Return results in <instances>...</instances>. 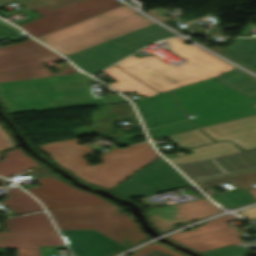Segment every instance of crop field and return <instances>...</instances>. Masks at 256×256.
Here are the masks:
<instances>
[{"label": "crop field", "mask_w": 256, "mask_h": 256, "mask_svg": "<svg viewBox=\"0 0 256 256\" xmlns=\"http://www.w3.org/2000/svg\"><path fill=\"white\" fill-rule=\"evenodd\" d=\"M214 78L256 99V78L239 70L238 68Z\"/></svg>", "instance_id": "obj_22"}, {"label": "crop field", "mask_w": 256, "mask_h": 256, "mask_svg": "<svg viewBox=\"0 0 256 256\" xmlns=\"http://www.w3.org/2000/svg\"><path fill=\"white\" fill-rule=\"evenodd\" d=\"M238 213L247 217V218L256 217V206H254L252 208H249V209H246V210H243V211H240Z\"/></svg>", "instance_id": "obj_35"}, {"label": "crop field", "mask_w": 256, "mask_h": 256, "mask_svg": "<svg viewBox=\"0 0 256 256\" xmlns=\"http://www.w3.org/2000/svg\"><path fill=\"white\" fill-rule=\"evenodd\" d=\"M245 253L246 251L243 246L236 247L234 245L201 252L205 256H239L245 255Z\"/></svg>", "instance_id": "obj_31"}, {"label": "crop field", "mask_w": 256, "mask_h": 256, "mask_svg": "<svg viewBox=\"0 0 256 256\" xmlns=\"http://www.w3.org/2000/svg\"><path fill=\"white\" fill-rule=\"evenodd\" d=\"M215 24L217 25V27L214 28L212 31H208L206 35H222L220 29V22H216Z\"/></svg>", "instance_id": "obj_38"}, {"label": "crop field", "mask_w": 256, "mask_h": 256, "mask_svg": "<svg viewBox=\"0 0 256 256\" xmlns=\"http://www.w3.org/2000/svg\"><path fill=\"white\" fill-rule=\"evenodd\" d=\"M256 107V104L254 105ZM215 141L227 139L234 142L256 137V115L201 127Z\"/></svg>", "instance_id": "obj_17"}, {"label": "crop field", "mask_w": 256, "mask_h": 256, "mask_svg": "<svg viewBox=\"0 0 256 256\" xmlns=\"http://www.w3.org/2000/svg\"><path fill=\"white\" fill-rule=\"evenodd\" d=\"M13 147H17V145L14 143L11 136L4 129V127L0 124V158H1V151L7 150Z\"/></svg>", "instance_id": "obj_33"}, {"label": "crop field", "mask_w": 256, "mask_h": 256, "mask_svg": "<svg viewBox=\"0 0 256 256\" xmlns=\"http://www.w3.org/2000/svg\"><path fill=\"white\" fill-rule=\"evenodd\" d=\"M7 183H8V181H6V180H3L0 182V184H2V185H6Z\"/></svg>", "instance_id": "obj_41"}, {"label": "crop field", "mask_w": 256, "mask_h": 256, "mask_svg": "<svg viewBox=\"0 0 256 256\" xmlns=\"http://www.w3.org/2000/svg\"><path fill=\"white\" fill-rule=\"evenodd\" d=\"M188 27L192 30L194 34L203 35V33L198 28H196L192 23L188 24Z\"/></svg>", "instance_id": "obj_39"}, {"label": "crop field", "mask_w": 256, "mask_h": 256, "mask_svg": "<svg viewBox=\"0 0 256 256\" xmlns=\"http://www.w3.org/2000/svg\"><path fill=\"white\" fill-rule=\"evenodd\" d=\"M132 256H182L163 246L153 243L141 250L133 252Z\"/></svg>", "instance_id": "obj_30"}, {"label": "crop field", "mask_w": 256, "mask_h": 256, "mask_svg": "<svg viewBox=\"0 0 256 256\" xmlns=\"http://www.w3.org/2000/svg\"><path fill=\"white\" fill-rule=\"evenodd\" d=\"M135 103L152 139L197 128L187 119L171 91Z\"/></svg>", "instance_id": "obj_7"}, {"label": "crop field", "mask_w": 256, "mask_h": 256, "mask_svg": "<svg viewBox=\"0 0 256 256\" xmlns=\"http://www.w3.org/2000/svg\"><path fill=\"white\" fill-rule=\"evenodd\" d=\"M210 197H212L214 200H216L218 203L226 208H233L255 202L253 197L248 193L246 189L211 195Z\"/></svg>", "instance_id": "obj_28"}, {"label": "crop field", "mask_w": 256, "mask_h": 256, "mask_svg": "<svg viewBox=\"0 0 256 256\" xmlns=\"http://www.w3.org/2000/svg\"><path fill=\"white\" fill-rule=\"evenodd\" d=\"M81 6L84 10L89 11L87 14H79L74 17V15L68 12V8L72 6ZM121 5L115 0H84L77 2L54 11H49L45 5L34 9L38 13L44 15L45 17L38 20L21 25L26 31H28L33 36L37 37L51 31L69 26L78 21L86 19L90 16L98 14L100 12L106 11L113 7Z\"/></svg>", "instance_id": "obj_11"}, {"label": "crop field", "mask_w": 256, "mask_h": 256, "mask_svg": "<svg viewBox=\"0 0 256 256\" xmlns=\"http://www.w3.org/2000/svg\"><path fill=\"white\" fill-rule=\"evenodd\" d=\"M62 60L57 54L26 39L18 44L0 47V82L77 72L68 63L60 73L53 74L41 63Z\"/></svg>", "instance_id": "obj_6"}, {"label": "crop field", "mask_w": 256, "mask_h": 256, "mask_svg": "<svg viewBox=\"0 0 256 256\" xmlns=\"http://www.w3.org/2000/svg\"><path fill=\"white\" fill-rule=\"evenodd\" d=\"M252 220H254L256 222V218H253Z\"/></svg>", "instance_id": "obj_42"}, {"label": "crop field", "mask_w": 256, "mask_h": 256, "mask_svg": "<svg viewBox=\"0 0 256 256\" xmlns=\"http://www.w3.org/2000/svg\"><path fill=\"white\" fill-rule=\"evenodd\" d=\"M150 23L153 22L121 5L37 38L68 55Z\"/></svg>", "instance_id": "obj_4"}, {"label": "crop field", "mask_w": 256, "mask_h": 256, "mask_svg": "<svg viewBox=\"0 0 256 256\" xmlns=\"http://www.w3.org/2000/svg\"><path fill=\"white\" fill-rule=\"evenodd\" d=\"M189 151L192 154L171 159V161L174 162L175 164H178L208 157L239 152L240 150L233 143L224 141L220 143L190 149Z\"/></svg>", "instance_id": "obj_23"}, {"label": "crop field", "mask_w": 256, "mask_h": 256, "mask_svg": "<svg viewBox=\"0 0 256 256\" xmlns=\"http://www.w3.org/2000/svg\"><path fill=\"white\" fill-rule=\"evenodd\" d=\"M36 163L17 148L5 153L4 160L0 161V174L8 177L22 169L37 166Z\"/></svg>", "instance_id": "obj_24"}, {"label": "crop field", "mask_w": 256, "mask_h": 256, "mask_svg": "<svg viewBox=\"0 0 256 256\" xmlns=\"http://www.w3.org/2000/svg\"><path fill=\"white\" fill-rule=\"evenodd\" d=\"M165 41L170 44V51L188 62L175 66L154 55L140 59L132 55L115 65L160 93L235 68L194 45L182 44L185 40L181 38Z\"/></svg>", "instance_id": "obj_2"}, {"label": "crop field", "mask_w": 256, "mask_h": 256, "mask_svg": "<svg viewBox=\"0 0 256 256\" xmlns=\"http://www.w3.org/2000/svg\"><path fill=\"white\" fill-rule=\"evenodd\" d=\"M233 220L238 219L230 215L222 216L199 228L188 232L176 233L168 238L197 252L243 242L237 235L246 234L247 232L239 233L235 228L249 225L250 223L230 227L226 222Z\"/></svg>", "instance_id": "obj_10"}, {"label": "crop field", "mask_w": 256, "mask_h": 256, "mask_svg": "<svg viewBox=\"0 0 256 256\" xmlns=\"http://www.w3.org/2000/svg\"><path fill=\"white\" fill-rule=\"evenodd\" d=\"M192 180L256 167V150L177 165Z\"/></svg>", "instance_id": "obj_13"}, {"label": "crop field", "mask_w": 256, "mask_h": 256, "mask_svg": "<svg viewBox=\"0 0 256 256\" xmlns=\"http://www.w3.org/2000/svg\"><path fill=\"white\" fill-rule=\"evenodd\" d=\"M1 180H3V179L0 178V181H1Z\"/></svg>", "instance_id": "obj_43"}, {"label": "crop field", "mask_w": 256, "mask_h": 256, "mask_svg": "<svg viewBox=\"0 0 256 256\" xmlns=\"http://www.w3.org/2000/svg\"><path fill=\"white\" fill-rule=\"evenodd\" d=\"M166 137H169L181 148L199 146L209 142H213V140H211L207 135H205L199 129L176 134V135L166 136ZM166 137H162V138H166ZM162 138H157L156 140L162 139Z\"/></svg>", "instance_id": "obj_26"}, {"label": "crop field", "mask_w": 256, "mask_h": 256, "mask_svg": "<svg viewBox=\"0 0 256 256\" xmlns=\"http://www.w3.org/2000/svg\"><path fill=\"white\" fill-rule=\"evenodd\" d=\"M174 36L153 23L87 49L68 55L81 69L93 74L118 61L133 51L159 39ZM157 37L156 39H153Z\"/></svg>", "instance_id": "obj_5"}, {"label": "crop field", "mask_w": 256, "mask_h": 256, "mask_svg": "<svg viewBox=\"0 0 256 256\" xmlns=\"http://www.w3.org/2000/svg\"><path fill=\"white\" fill-rule=\"evenodd\" d=\"M118 212L117 205H98L49 211L52 218Z\"/></svg>", "instance_id": "obj_25"}, {"label": "crop field", "mask_w": 256, "mask_h": 256, "mask_svg": "<svg viewBox=\"0 0 256 256\" xmlns=\"http://www.w3.org/2000/svg\"><path fill=\"white\" fill-rule=\"evenodd\" d=\"M61 232L75 256H106L120 248H128L95 230H61Z\"/></svg>", "instance_id": "obj_15"}, {"label": "crop field", "mask_w": 256, "mask_h": 256, "mask_svg": "<svg viewBox=\"0 0 256 256\" xmlns=\"http://www.w3.org/2000/svg\"><path fill=\"white\" fill-rule=\"evenodd\" d=\"M63 245L56 231L0 233V247L18 248L17 256H40L39 246Z\"/></svg>", "instance_id": "obj_16"}, {"label": "crop field", "mask_w": 256, "mask_h": 256, "mask_svg": "<svg viewBox=\"0 0 256 256\" xmlns=\"http://www.w3.org/2000/svg\"><path fill=\"white\" fill-rule=\"evenodd\" d=\"M220 210L206 198L170 205L147 211V215L158 231L173 229L176 224L185 223L193 218H205Z\"/></svg>", "instance_id": "obj_14"}, {"label": "crop field", "mask_w": 256, "mask_h": 256, "mask_svg": "<svg viewBox=\"0 0 256 256\" xmlns=\"http://www.w3.org/2000/svg\"><path fill=\"white\" fill-rule=\"evenodd\" d=\"M1 203L11 208L16 215L42 210L38 202L28 194L9 197Z\"/></svg>", "instance_id": "obj_27"}, {"label": "crop field", "mask_w": 256, "mask_h": 256, "mask_svg": "<svg viewBox=\"0 0 256 256\" xmlns=\"http://www.w3.org/2000/svg\"><path fill=\"white\" fill-rule=\"evenodd\" d=\"M202 189L219 186L220 183L231 182L240 189L250 188L256 183V168L240 172L200 179L194 181Z\"/></svg>", "instance_id": "obj_20"}, {"label": "crop field", "mask_w": 256, "mask_h": 256, "mask_svg": "<svg viewBox=\"0 0 256 256\" xmlns=\"http://www.w3.org/2000/svg\"><path fill=\"white\" fill-rule=\"evenodd\" d=\"M242 149H251L256 147V138L238 142L237 143Z\"/></svg>", "instance_id": "obj_34"}, {"label": "crop field", "mask_w": 256, "mask_h": 256, "mask_svg": "<svg viewBox=\"0 0 256 256\" xmlns=\"http://www.w3.org/2000/svg\"><path fill=\"white\" fill-rule=\"evenodd\" d=\"M38 181L41 186L28 191L41 200L48 210L111 203L97 195L77 190L54 177Z\"/></svg>", "instance_id": "obj_12"}, {"label": "crop field", "mask_w": 256, "mask_h": 256, "mask_svg": "<svg viewBox=\"0 0 256 256\" xmlns=\"http://www.w3.org/2000/svg\"><path fill=\"white\" fill-rule=\"evenodd\" d=\"M77 138L37 145L46 151L53 160L72 172L81 180L104 188H111L135 170L155 159L157 154L148 142L125 149L112 147L111 152L102 153V164L88 166L82 159L92 150L88 145L77 146Z\"/></svg>", "instance_id": "obj_3"}, {"label": "crop field", "mask_w": 256, "mask_h": 256, "mask_svg": "<svg viewBox=\"0 0 256 256\" xmlns=\"http://www.w3.org/2000/svg\"><path fill=\"white\" fill-rule=\"evenodd\" d=\"M33 169L35 170V176L34 177H40V176L50 174L49 172H47V169L42 165L38 166V167H34Z\"/></svg>", "instance_id": "obj_36"}, {"label": "crop field", "mask_w": 256, "mask_h": 256, "mask_svg": "<svg viewBox=\"0 0 256 256\" xmlns=\"http://www.w3.org/2000/svg\"><path fill=\"white\" fill-rule=\"evenodd\" d=\"M103 72L118 81L109 84L121 92L135 91L145 97L159 94L115 65Z\"/></svg>", "instance_id": "obj_19"}, {"label": "crop field", "mask_w": 256, "mask_h": 256, "mask_svg": "<svg viewBox=\"0 0 256 256\" xmlns=\"http://www.w3.org/2000/svg\"><path fill=\"white\" fill-rule=\"evenodd\" d=\"M8 231L55 230L45 212L6 219Z\"/></svg>", "instance_id": "obj_21"}, {"label": "crop field", "mask_w": 256, "mask_h": 256, "mask_svg": "<svg viewBox=\"0 0 256 256\" xmlns=\"http://www.w3.org/2000/svg\"><path fill=\"white\" fill-rule=\"evenodd\" d=\"M22 36H24V34L20 32L18 29L7 23L0 21V39L6 38L10 41H13Z\"/></svg>", "instance_id": "obj_32"}, {"label": "crop field", "mask_w": 256, "mask_h": 256, "mask_svg": "<svg viewBox=\"0 0 256 256\" xmlns=\"http://www.w3.org/2000/svg\"><path fill=\"white\" fill-rule=\"evenodd\" d=\"M94 82L82 73L4 82L0 100L9 114L127 102L120 95L95 97Z\"/></svg>", "instance_id": "obj_1"}, {"label": "crop field", "mask_w": 256, "mask_h": 256, "mask_svg": "<svg viewBox=\"0 0 256 256\" xmlns=\"http://www.w3.org/2000/svg\"><path fill=\"white\" fill-rule=\"evenodd\" d=\"M4 194L6 195V197H9V196H14V195L25 194V192H23L22 190H20L17 187H14V188H11L10 190H8Z\"/></svg>", "instance_id": "obj_37"}, {"label": "crop field", "mask_w": 256, "mask_h": 256, "mask_svg": "<svg viewBox=\"0 0 256 256\" xmlns=\"http://www.w3.org/2000/svg\"><path fill=\"white\" fill-rule=\"evenodd\" d=\"M77 1H80V0H30L31 3L24 6V8H20V9L5 13L3 15H1V14L0 15L3 16V17H6V16H9V15L18 13V12L24 13L26 11L34 9L38 6L43 5V4H45L48 9L53 10V9H56V8H59V7L77 2Z\"/></svg>", "instance_id": "obj_29"}, {"label": "crop field", "mask_w": 256, "mask_h": 256, "mask_svg": "<svg viewBox=\"0 0 256 256\" xmlns=\"http://www.w3.org/2000/svg\"><path fill=\"white\" fill-rule=\"evenodd\" d=\"M190 186L186 179L159 158L110 192L132 198Z\"/></svg>", "instance_id": "obj_8"}, {"label": "crop field", "mask_w": 256, "mask_h": 256, "mask_svg": "<svg viewBox=\"0 0 256 256\" xmlns=\"http://www.w3.org/2000/svg\"><path fill=\"white\" fill-rule=\"evenodd\" d=\"M250 190V192L253 194V196L256 198V188H251V189H249ZM248 190V191H249Z\"/></svg>", "instance_id": "obj_40"}, {"label": "crop field", "mask_w": 256, "mask_h": 256, "mask_svg": "<svg viewBox=\"0 0 256 256\" xmlns=\"http://www.w3.org/2000/svg\"><path fill=\"white\" fill-rule=\"evenodd\" d=\"M220 54L256 72V38H235Z\"/></svg>", "instance_id": "obj_18"}, {"label": "crop field", "mask_w": 256, "mask_h": 256, "mask_svg": "<svg viewBox=\"0 0 256 256\" xmlns=\"http://www.w3.org/2000/svg\"><path fill=\"white\" fill-rule=\"evenodd\" d=\"M59 229H95L118 243L132 245L146 238L126 213L90 215L54 219Z\"/></svg>", "instance_id": "obj_9"}]
</instances>
